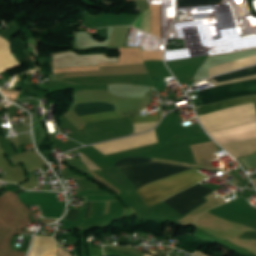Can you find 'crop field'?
Masks as SVG:
<instances>
[{
  "mask_svg": "<svg viewBox=\"0 0 256 256\" xmlns=\"http://www.w3.org/2000/svg\"><path fill=\"white\" fill-rule=\"evenodd\" d=\"M78 211H79V210H71V212H70L68 218L75 220L76 217H77V215H78Z\"/></svg>",
  "mask_w": 256,
  "mask_h": 256,
  "instance_id": "d1516ede",
  "label": "crop field"
},
{
  "mask_svg": "<svg viewBox=\"0 0 256 256\" xmlns=\"http://www.w3.org/2000/svg\"><path fill=\"white\" fill-rule=\"evenodd\" d=\"M220 0H178V6L219 3Z\"/></svg>",
  "mask_w": 256,
  "mask_h": 256,
  "instance_id": "5a996713",
  "label": "crop field"
},
{
  "mask_svg": "<svg viewBox=\"0 0 256 256\" xmlns=\"http://www.w3.org/2000/svg\"><path fill=\"white\" fill-rule=\"evenodd\" d=\"M204 178L206 177L202 174L190 169L157 182L146 184L136 191L146 205L150 207L193 186Z\"/></svg>",
  "mask_w": 256,
  "mask_h": 256,
  "instance_id": "8a807250",
  "label": "crop field"
},
{
  "mask_svg": "<svg viewBox=\"0 0 256 256\" xmlns=\"http://www.w3.org/2000/svg\"><path fill=\"white\" fill-rule=\"evenodd\" d=\"M211 191L212 190L195 185L164 202L183 215L205 202L201 197Z\"/></svg>",
  "mask_w": 256,
  "mask_h": 256,
  "instance_id": "412701ff",
  "label": "crop field"
},
{
  "mask_svg": "<svg viewBox=\"0 0 256 256\" xmlns=\"http://www.w3.org/2000/svg\"><path fill=\"white\" fill-rule=\"evenodd\" d=\"M255 74H256V66H253V67H250V68H247V69H243V70H240V71L228 73V74L213 77V78L216 81L220 82V81L231 80V79L246 77V76L255 75ZM214 79L210 78V80L212 82L216 83V81Z\"/></svg>",
  "mask_w": 256,
  "mask_h": 256,
  "instance_id": "e52e79f7",
  "label": "crop field"
},
{
  "mask_svg": "<svg viewBox=\"0 0 256 256\" xmlns=\"http://www.w3.org/2000/svg\"><path fill=\"white\" fill-rule=\"evenodd\" d=\"M161 116H152V117H143V118H132L133 123L139 122H152V121H159Z\"/></svg>",
  "mask_w": 256,
  "mask_h": 256,
  "instance_id": "3316defc",
  "label": "crop field"
},
{
  "mask_svg": "<svg viewBox=\"0 0 256 256\" xmlns=\"http://www.w3.org/2000/svg\"><path fill=\"white\" fill-rule=\"evenodd\" d=\"M251 94H256V80L232 83L197 92L202 105Z\"/></svg>",
  "mask_w": 256,
  "mask_h": 256,
  "instance_id": "34b2d1b8",
  "label": "crop field"
},
{
  "mask_svg": "<svg viewBox=\"0 0 256 256\" xmlns=\"http://www.w3.org/2000/svg\"><path fill=\"white\" fill-rule=\"evenodd\" d=\"M111 111H114V106H111L110 104H104V103L77 104L76 107L74 108V112L78 116L111 112ZM117 117H120V116H118L115 112H111V113H104V114H97V115L82 116L80 118L85 122H89V121L110 119V118H117Z\"/></svg>",
  "mask_w": 256,
  "mask_h": 256,
  "instance_id": "f4fd0767",
  "label": "crop field"
},
{
  "mask_svg": "<svg viewBox=\"0 0 256 256\" xmlns=\"http://www.w3.org/2000/svg\"><path fill=\"white\" fill-rule=\"evenodd\" d=\"M147 162H152L151 159H145V158H128L122 161L117 162L116 166H123V165H138L143 164Z\"/></svg>",
  "mask_w": 256,
  "mask_h": 256,
  "instance_id": "d8731c3e",
  "label": "crop field"
},
{
  "mask_svg": "<svg viewBox=\"0 0 256 256\" xmlns=\"http://www.w3.org/2000/svg\"><path fill=\"white\" fill-rule=\"evenodd\" d=\"M90 204H91V202H89V204H88V210H87V216H86V218H88V216H89ZM103 204H104V202H99L97 216H100V215H101V213H102V208H103Z\"/></svg>",
  "mask_w": 256,
  "mask_h": 256,
  "instance_id": "28ad6ade",
  "label": "crop field"
},
{
  "mask_svg": "<svg viewBox=\"0 0 256 256\" xmlns=\"http://www.w3.org/2000/svg\"><path fill=\"white\" fill-rule=\"evenodd\" d=\"M252 102H256V95L223 101V102L215 103V104L204 106V107H199L196 109L198 111V115L200 116V115L207 114L220 109L243 105V104L252 103Z\"/></svg>",
  "mask_w": 256,
  "mask_h": 256,
  "instance_id": "dd49c442",
  "label": "crop field"
},
{
  "mask_svg": "<svg viewBox=\"0 0 256 256\" xmlns=\"http://www.w3.org/2000/svg\"><path fill=\"white\" fill-rule=\"evenodd\" d=\"M120 169L138 188L146 183L167 177L169 175L190 168L172 166L167 164L150 163L138 166L121 167Z\"/></svg>",
  "mask_w": 256,
  "mask_h": 256,
  "instance_id": "ac0d7876",
  "label": "crop field"
}]
</instances>
